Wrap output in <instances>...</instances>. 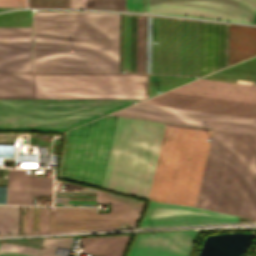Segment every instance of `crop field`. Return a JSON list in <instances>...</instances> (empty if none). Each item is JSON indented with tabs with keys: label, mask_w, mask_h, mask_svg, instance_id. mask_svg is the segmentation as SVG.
<instances>
[{
	"label": "crop field",
	"mask_w": 256,
	"mask_h": 256,
	"mask_svg": "<svg viewBox=\"0 0 256 256\" xmlns=\"http://www.w3.org/2000/svg\"><path fill=\"white\" fill-rule=\"evenodd\" d=\"M198 48L199 21L162 17V74L198 76ZM123 71L132 72V15L127 14ZM133 72L147 73V16L133 15ZM148 73H161V17L148 16Z\"/></svg>",
	"instance_id": "3"
},
{
	"label": "crop field",
	"mask_w": 256,
	"mask_h": 256,
	"mask_svg": "<svg viewBox=\"0 0 256 256\" xmlns=\"http://www.w3.org/2000/svg\"><path fill=\"white\" fill-rule=\"evenodd\" d=\"M144 0H125V11L143 12Z\"/></svg>",
	"instance_id": "23"
},
{
	"label": "crop field",
	"mask_w": 256,
	"mask_h": 256,
	"mask_svg": "<svg viewBox=\"0 0 256 256\" xmlns=\"http://www.w3.org/2000/svg\"><path fill=\"white\" fill-rule=\"evenodd\" d=\"M129 236H109L83 238V252L105 255L121 256Z\"/></svg>",
	"instance_id": "16"
},
{
	"label": "crop field",
	"mask_w": 256,
	"mask_h": 256,
	"mask_svg": "<svg viewBox=\"0 0 256 256\" xmlns=\"http://www.w3.org/2000/svg\"><path fill=\"white\" fill-rule=\"evenodd\" d=\"M228 65V24L203 21L202 76Z\"/></svg>",
	"instance_id": "13"
},
{
	"label": "crop field",
	"mask_w": 256,
	"mask_h": 256,
	"mask_svg": "<svg viewBox=\"0 0 256 256\" xmlns=\"http://www.w3.org/2000/svg\"><path fill=\"white\" fill-rule=\"evenodd\" d=\"M0 98H31V73L0 72Z\"/></svg>",
	"instance_id": "15"
},
{
	"label": "crop field",
	"mask_w": 256,
	"mask_h": 256,
	"mask_svg": "<svg viewBox=\"0 0 256 256\" xmlns=\"http://www.w3.org/2000/svg\"><path fill=\"white\" fill-rule=\"evenodd\" d=\"M25 7V0H0V8Z\"/></svg>",
	"instance_id": "24"
},
{
	"label": "crop field",
	"mask_w": 256,
	"mask_h": 256,
	"mask_svg": "<svg viewBox=\"0 0 256 256\" xmlns=\"http://www.w3.org/2000/svg\"><path fill=\"white\" fill-rule=\"evenodd\" d=\"M28 7L68 8V0H28Z\"/></svg>",
	"instance_id": "22"
},
{
	"label": "crop field",
	"mask_w": 256,
	"mask_h": 256,
	"mask_svg": "<svg viewBox=\"0 0 256 256\" xmlns=\"http://www.w3.org/2000/svg\"><path fill=\"white\" fill-rule=\"evenodd\" d=\"M146 12L256 22V0H146Z\"/></svg>",
	"instance_id": "9"
},
{
	"label": "crop field",
	"mask_w": 256,
	"mask_h": 256,
	"mask_svg": "<svg viewBox=\"0 0 256 256\" xmlns=\"http://www.w3.org/2000/svg\"><path fill=\"white\" fill-rule=\"evenodd\" d=\"M31 27H0V71L31 72Z\"/></svg>",
	"instance_id": "12"
},
{
	"label": "crop field",
	"mask_w": 256,
	"mask_h": 256,
	"mask_svg": "<svg viewBox=\"0 0 256 256\" xmlns=\"http://www.w3.org/2000/svg\"><path fill=\"white\" fill-rule=\"evenodd\" d=\"M196 231L137 235L127 256H188Z\"/></svg>",
	"instance_id": "11"
},
{
	"label": "crop field",
	"mask_w": 256,
	"mask_h": 256,
	"mask_svg": "<svg viewBox=\"0 0 256 256\" xmlns=\"http://www.w3.org/2000/svg\"><path fill=\"white\" fill-rule=\"evenodd\" d=\"M236 216L207 209L150 202L140 227L237 221Z\"/></svg>",
	"instance_id": "10"
},
{
	"label": "crop field",
	"mask_w": 256,
	"mask_h": 256,
	"mask_svg": "<svg viewBox=\"0 0 256 256\" xmlns=\"http://www.w3.org/2000/svg\"><path fill=\"white\" fill-rule=\"evenodd\" d=\"M113 115L256 133V116L146 101Z\"/></svg>",
	"instance_id": "7"
},
{
	"label": "crop field",
	"mask_w": 256,
	"mask_h": 256,
	"mask_svg": "<svg viewBox=\"0 0 256 256\" xmlns=\"http://www.w3.org/2000/svg\"><path fill=\"white\" fill-rule=\"evenodd\" d=\"M139 101L0 99V130L65 132Z\"/></svg>",
	"instance_id": "4"
},
{
	"label": "crop field",
	"mask_w": 256,
	"mask_h": 256,
	"mask_svg": "<svg viewBox=\"0 0 256 256\" xmlns=\"http://www.w3.org/2000/svg\"><path fill=\"white\" fill-rule=\"evenodd\" d=\"M69 8L86 9V0H69Z\"/></svg>",
	"instance_id": "25"
},
{
	"label": "crop field",
	"mask_w": 256,
	"mask_h": 256,
	"mask_svg": "<svg viewBox=\"0 0 256 256\" xmlns=\"http://www.w3.org/2000/svg\"><path fill=\"white\" fill-rule=\"evenodd\" d=\"M72 239L71 237L44 239L42 244L70 248ZM55 249L53 247L41 246L39 252L53 255Z\"/></svg>",
	"instance_id": "21"
},
{
	"label": "crop field",
	"mask_w": 256,
	"mask_h": 256,
	"mask_svg": "<svg viewBox=\"0 0 256 256\" xmlns=\"http://www.w3.org/2000/svg\"><path fill=\"white\" fill-rule=\"evenodd\" d=\"M147 74L32 73V98L146 99Z\"/></svg>",
	"instance_id": "5"
},
{
	"label": "crop field",
	"mask_w": 256,
	"mask_h": 256,
	"mask_svg": "<svg viewBox=\"0 0 256 256\" xmlns=\"http://www.w3.org/2000/svg\"><path fill=\"white\" fill-rule=\"evenodd\" d=\"M96 190L73 184L68 190L56 189L55 205L94 206Z\"/></svg>",
	"instance_id": "17"
},
{
	"label": "crop field",
	"mask_w": 256,
	"mask_h": 256,
	"mask_svg": "<svg viewBox=\"0 0 256 256\" xmlns=\"http://www.w3.org/2000/svg\"><path fill=\"white\" fill-rule=\"evenodd\" d=\"M112 204L111 213L96 214V208L53 207L50 233L80 229L117 228L138 220L143 202L98 191V202Z\"/></svg>",
	"instance_id": "8"
},
{
	"label": "crop field",
	"mask_w": 256,
	"mask_h": 256,
	"mask_svg": "<svg viewBox=\"0 0 256 256\" xmlns=\"http://www.w3.org/2000/svg\"><path fill=\"white\" fill-rule=\"evenodd\" d=\"M150 100L256 115V87L205 79Z\"/></svg>",
	"instance_id": "6"
},
{
	"label": "crop field",
	"mask_w": 256,
	"mask_h": 256,
	"mask_svg": "<svg viewBox=\"0 0 256 256\" xmlns=\"http://www.w3.org/2000/svg\"><path fill=\"white\" fill-rule=\"evenodd\" d=\"M117 118L67 132L63 178L100 188ZM163 125L118 118L101 188L145 199ZM214 132L165 123L146 199L196 207ZM227 132H215L197 207L209 208ZM245 188L256 192V136L229 131L209 209L239 216Z\"/></svg>",
	"instance_id": "1"
},
{
	"label": "crop field",
	"mask_w": 256,
	"mask_h": 256,
	"mask_svg": "<svg viewBox=\"0 0 256 256\" xmlns=\"http://www.w3.org/2000/svg\"><path fill=\"white\" fill-rule=\"evenodd\" d=\"M52 178L30 177L29 204L31 196L51 194Z\"/></svg>",
	"instance_id": "19"
},
{
	"label": "crop field",
	"mask_w": 256,
	"mask_h": 256,
	"mask_svg": "<svg viewBox=\"0 0 256 256\" xmlns=\"http://www.w3.org/2000/svg\"><path fill=\"white\" fill-rule=\"evenodd\" d=\"M230 65L256 55V27L229 24Z\"/></svg>",
	"instance_id": "14"
},
{
	"label": "crop field",
	"mask_w": 256,
	"mask_h": 256,
	"mask_svg": "<svg viewBox=\"0 0 256 256\" xmlns=\"http://www.w3.org/2000/svg\"><path fill=\"white\" fill-rule=\"evenodd\" d=\"M75 71H119V13L34 12L33 72Z\"/></svg>",
	"instance_id": "2"
},
{
	"label": "crop field",
	"mask_w": 256,
	"mask_h": 256,
	"mask_svg": "<svg viewBox=\"0 0 256 256\" xmlns=\"http://www.w3.org/2000/svg\"><path fill=\"white\" fill-rule=\"evenodd\" d=\"M29 174L8 170L7 204H28Z\"/></svg>",
	"instance_id": "18"
},
{
	"label": "crop field",
	"mask_w": 256,
	"mask_h": 256,
	"mask_svg": "<svg viewBox=\"0 0 256 256\" xmlns=\"http://www.w3.org/2000/svg\"><path fill=\"white\" fill-rule=\"evenodd\" d=\"M87 8L114 10V0H87ZM115 9L124 10V0H115Z\"/></svg>",
	"instance_id": "20"
}]
</instances>
